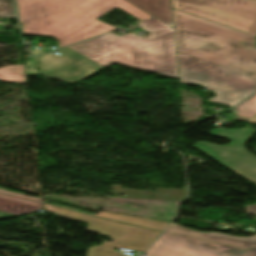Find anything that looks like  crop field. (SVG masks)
Wrapping results in <instances>:
<instances>
[{
	"instance_id": "8a807250",
	"label": "crop field",
	"mask_w": 256,
	"mask_h": 256,
	"mask_svg": "<svg viewBox=\"0 0 256 256\" xmlns=\"http://www.w3.org/2000/svg\"><path fill=\"white\" fill-rule=\"evenodd\" d=\"M137 24L151 37L110 33L68 48L105 68L116 63L178 78L173 29L155 18Z\"/></svg>"
},
{
	"instance_id": "ac0d7876",
	"label": "crop field",
	"mask_w": 256,
	"mask_h": 256,
	"mask_svg": "<svg viewBox=\"0 0 256 256\" xmlns=\"http://www.w3.org/2000/svg\"><path fill=\"white\" fill-rule=\"evenodd\" d=\"M177 52L256 79L255 37L172 9Z\"/></svg>"
},
{
	"instance_id": "34b2d1b8",
	"label": "crop field",
	"mask_w": 256,
	"mask_h": 256,
	"mask_svg": "<svg viewBox=\"0 0 256 256\" xmlns=\"http://www.w3.org/2000/svg\"><path fill=\"white\" fill-rule=\"evenodd\" d=\"M117 7L140 21L152 18L125 0H97L22 23L23 35L55 37L59 48L118 29L96 20Z\"/></svg>"
},
{
	"instance_id": "412701ff",
	"label": "crop field",
	"mask_w": 256,
	"mask_h": 256,
	"mask_svg": "<svg viewBox=\"0 0 256 256\" xmlns=\"http://www.w3.org/2000/svg\"><path fill=\"white\" fill-rule=\"evenodd\" d=\"M180 83L213 91L211 102L235 106L256 90V80L177 53Z\"/></svg>"
},
{
	"instance_id": "f4fd0767",
	"label": "crop field",
	"mask_w": 256,
	"mask_h": 256,
	"mask_svg": "<svg viewBox=\"0 0 256 256\" xmlns=\"http://www.w3.org/2000/svg\"><path fill=\"white\" fill-rule=\"evenodd\" d=\"M45 207L47 211L59 216L91 223L87 230L115 239L112 243L104 242L101 246L89 248L87 256H124L114 251L113 248L145 251L160 233L159 231L120 224L46 204Z\"/></svg>"
},
{
	"instance_id": "dd49c442",
	"label": "crop field",
	"mask_w": 256,
	"mask_h": 256,
	"mask_svg": "<svg viewBox=\"0 0 256 256\" xmlns=\"http://www.w3.org/2000/svg\"><path fill=\"white\" fill-rule=\"evenodd\" d=\"M172 5L256 36V0H172Z\"/></svg>"
},
{
	"instance_id": "e52e79f7",
	"label": "crop field",
	"mask_w": 256,
	"mask_h": 256,
	"mask_svg": "<svg viewBox=\"0 0 256 256\" xmlns=\"http://www.w3.org/2000/svg\"><path fill=\"white\" fill-rule=\"evenodd\" d=\"M255 133L256 130L251 129L224 130L216 128L210 134L232 140L227 147L205 142H197L192 146L256 184V156L244 149V144Z\"/></svg>"
},
{
	"instance_id": "d8731c3e",
	"label": "crop field",
	"mask_w": 256,
	"mask_h": 256,
	"mask_svg": "<svg viewBox=\"0 0 256 256\" xmlns=\"http://www.w3.org/2000/svg\"><path fill=\"white\" fill-rule=\"evenodd\" d=\"M146 254L147 256H256V246L242 251L187 236L163 233Z\"/></svg>"
},
{
	"instance_id": "5a996713",
	"label": "crop field",
	"mask_w": 256,
	"mask_h": 256,
	"mask_svg": "<svg viewBox=\"0 0 256 256\" xmlns=\"http://www.w3.org/2000/svg\"><path fill=\"white\" fill-rule=\"evenodd\" d=\"M20 21L26 22L94 0H17Z\"/></svg>"
},
{
	"instance_id": "3316defc",
	"label": "crop field",
	"mask_w": 256,
	"mask_h": 256,
	"mask_svg": "<svg viewBox=\"0 0 256 256\" xmlns=\"http://www.w3.org/2000/svg\"><path fill=\"white\" fill-rule=\"evenodd\" d=\"M166 232L184 234V235L201 238V239L221 243V244L236 247V248H242V249H245L251 245H256V235L251 238H243V237L228 236V235H224L216 232L204 234V233L188 230L186 228L180 227L175 224H172L166 230Z\"/></svg>"
},
{
	"instance_id": "28ad6ade",
	"label": "crop field",
	"mask_w": 256,
	"mask_h": 256,
	"mask_svg": "<svg viewBox=\"0 0 256 256\" xmlns=\"http://www.w3.org/2000/svg\"><path fill=\"white\" fill-rule=\"evenodd\" d=\"M173 28L170 0H127Z\"/></svg>"
},
{
	"instance_id": "d1516ede",
	"label": "crop field",
	"mask_w": 256,
	"mask_h": 256,
	"mask_svg": "<svg viewBox=\"0 0 256 256\" xmlns=\"http://www.w3.org/2000/svg\"><path fill=\"white\" fill-rule=\"evenodd\" d=\"M41 208L42 206L39 203L0 194V210L2 211L21 215Z\"/></svg>"
},
{
	"instance_id": "22f410ed",
	"label": "crop field",
	"mask_w": 256,
	"mask_h": 256,
	"mask_svg": "<svg viewBox=\"0 0 256 256\" xmlns=\"http://www.w3.org/2000/svg\"><path fill=\"white\" fill-rule=\"evenodd\" d=\"M95 216L110 219V220H115V221H121V222L142 226L150 229H155L159 231H162L165 228V226L168 224L167 222L125 216V215L108 213V212H101Z\"/></svg>"
},
{
	"instance_id": "cbeb9de0",
	"label": "crop field",
	"mask_w": 256,
	"mask_h": 256,
	"mask_svg": "<svg viewBox=\"0 0 256 256\" xmlns=\"http://www.w3.org/2000/svg\"><path fill=\"white\" fill-rule=\"evenodd\" d=\"M0 81L26 85L24 65L0 68Z\"/></svg>"
},
{
	"instance_id": "5142ce71",
	"label": "crop field",
	"mask_w": 256,
	"mask_h": 256,
	"mask_svg": "<svg viewBox=\"0 0 256 256\" xmlns=\"http://www.w3.org/2000/svg\"><path fill=\"white\" fill-rule=\"evenodd\" d=\"M235 109L240 110L235 114L236 116L248 119L245 122L256 123V93Z\"/></svg>"
},
{
	"instance_id": "d9b57169",
	"label": "crop field",
	"mask_w": 256,
	"mask_h": 256,
	"mask_svg": "<svg viewBox=\"0 0 256 256\" xmlns=\"http://www.w3.org/2000/svg\"><path fill=\"white\" fill-rule=\"evenodd\" d=\"M0 17L15 18V8L13 0H0Z\"/></svg>"
},
{
	"instance_id": "733c2abd",
	"label": "crop field",
	"mask_w": 256,
	"mask_h": 256,
	"mask_svg": "<svg viewBox=\"0 0 256 256\" xmlns=\"http://www.w3.org/2000/svg\"><path fill=\"white\" fill-rule=\"evenodd\" d=\"M0 193H5V194L13 195V196H18V197H22V198H26V199H31V200L42 202L41 199H36V198L28 197V196H23V195L11 193V192L3 191V190H0Z\"/></svg>"
},
{
	"instance_id": "4a817a6b",
	"label": "crop field",
	"mask_w": 256,
	"mask_h": 256,
	"mask_svg": "<svg viewBox=\"0 0 256 256\" xmlns=\"http://www.w3.org/2000/svg\"><path fill=\"white\" fill-rule=\"evenodd\" d=\"M248 213L256 214V205L245 206Z\"/></svg>"
}]
</instances>
